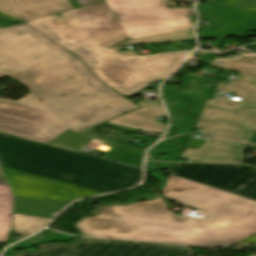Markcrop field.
Returning <instances> with one entry per match:
<instances>
[{
    "instance_id": "obj_1",
    "label": "crop field",
    "mask_w": 256,
    "mask_h": 256,
    "mask_svg": "<svg viewBox=\"0 0 256 256\" xmlns=\"http://www.w3.org/2000/svg\"><path fill=\"white\" fill-rule=\"evenodd\" d=\"M4 75L22 81L33 93L17 102L0 98V130L43 142L68 128L79 132L138 108L102 84L79 59L26 25L0 29Z\"/></svg>"
},
{
    "instance_id": "obj_2",
    "label": "crop field",
    "mask_w": 256,
    "mask_h": 256,
    "mask_svg": "<svg viewBox=\"0 0 256 256\" xmlns=\"http://www.w3.org/2000/svg\"><path fill=\"white\" fill-rule=\"evenodd\" d=\"M163 194L206 211L205 219L185 218L168 209L162 197L116 206L77 224L84 235L172 244L227 247L256 233V202L169 176Z\"/></svg>"
},
{
    "instance_id": "obj_3",
    "label": "crop field",
    "mask_w": 256,
    "mask_h": 256,
    "mask_svg": "<svg viewBox=\"0 0 256 256\" xmlns=\"http://www.w3.org/2000/svg\"><path fill=\"white\" fill-rule=\"evenodd\" d=\"M61 14L26 24L76 54L106 84L125 96L167 77L190 53L121 57L108 50L127 38L105 2Z\"/></svg>"
},
{
    "instance_id": "obj_4",
    "label": "crop field",
    "mask_w": 256,
    "mask_h": 256,
    "mask_svg": "<svg viewBox=\"0 0 256 256\" xmlns=\"http://www.w3.org/2000/svg\"><path fill=\"white\" fill-rule=\"evenodd\" d=\"M66 149L0 133L2 167L106 193L139 183L141 170L98 159L87 171L53 163Z\"/></svg>"
},
{
    "instance_id": "obj_5",
    "label": "crop field",
    "mask_w": 256,
    "mask_h": 256,
    "mask_svg": "<svg viewBox=\"0 0 256 256\" xmlns=\"http://www.w3.org/2000/svg\"><path fill=\"white\" fill-rule=\"evenodd\" d=\"M169 1L194 0H105L128 39L192 29L193 9L168 8Z\"/></svg>"
},
{
    "instance_id": "obj_6",
    "label": "crop field",
    "mask_w": 256,
    "mask_h": 256,
    "mask_svg": "<svg viewBox=\"0 0 256 256\" xmlns=\"http://www.w3.org/2000/svg\"><path fill=\"white\" fill-rule=\"evenodd\" d=\"M49 250L17 252L13 256H192L188 247L117 240L79 239L48 244Z\"/></svg>"
},
{
    "instance_id": "obj_7",
    "label": "crop field",
    "mask_w": 256,
    "mask_h": 256,
    "mask_svg": "<svg viewBox=\"0 0 256 256\" xmlns=\"http://www.w3.org/2000/svg\"><path fill=\"white\" fill-rule=\"evenodd\" d=\"M255 122L256 99L218 96L208 100L195 128L217 138L248 140Z\"/></svg>"
},
{
    "instance_id": "obj_8",
    "label": "crop field",
    "mask_w": 256,
    "mask_h": 256,
    "mask_svg": "<svg viewBox=\"0 0 256 256\" xmlns=\"http://www.w3.org/2000/svg\"><path fill=\"white\" fill-rule=\"evenodd\" d=\"M167 172L256 200V169L246 165L175 163Z\"/></svg>"
},
{
    "instance_id": "obj_9",
    "label": "crop field",
    "mask_w": 256,
    "mask_h": 256,
    "mask_svg": "<svg viewBox=\"0 0 256 256\" xmlns=\"http://www.w3.org/2000/svg\"><path fill=\"white\" fill-rule=\"evenodd\" d=\"M2 170L15 196L70 202L101 194L6 168Z\"/></svg>"
},
{
    "instance_id": "obj_10",
    "label": "crop field",
    "mask_w": 256,
    "mask_h": 256,
    "mask_svg": "<svg viewBox=\"0 0 256 256\" xmlns=\"http://www.w3.org/2000/svg\"><path fill=\"white\" fill-rule=\"evenodd\" d=\"M68 10H72L68 0H0V12L26 21Z\"/></svg>"
},
{
    "instance_id": "obj_11",
    "label": "crop field",
    "mask_w": 256,
    "mask_h": 256,
    "mask_svg": "<svg viewBox=\"0 0 256 256\" xmlns=\"http://www.w3.org/2000/svg\"><path fill=\"white\" fill-rule=\"evenodd\" d=\"M247 144L209 138L198 150L186 148L180 158L203 162L240 163Z\"/></svg>"
},
{
    "instance_id": "obj_12",
    "label": "crop field",
    "mask_w": 256,
    "mask_h": 256,
    "mask_svg": "<svg viewBox=\"0 0 256 256\" xmlns=\"http://www.w3.org/2000/svg\"><path fill=\"white\" fill-rule=\"evenodd\" d=\"M137 104L143 108L119 116L108 122L163 134L167 125L154 121L158 116L167 118L161 102L143 100Z\"/></svg>"
},
{
    "instance_id": "obj_13",
    "label": "crop field",
    "mask_w": 256,
    "mask_h": 256,
    "mask_svg": "<svg viewBox=\"0 0 256 256\" xmlns=\"http://www.w3.org/2000/svg\"><path fill=\"white\" fill-rule=\"evenodd\" d=\"M93 139L94 138L79 135L69 130L55 140L51 141L50 143L71 150L80 151L81 149L85 148ZM143 154L144 152L142 151L134 150L120 145H115L102 158L140 167Z\"/></svg>"
},
{
    "instance_id": "obj_14",
    "label": "crop field",
    "mask_w": 256,
    "mask_h": 256,
    "mask_svg": "<svg viewBox=\"0 0 256 256\" xmlns=\"http://www.w3.org/2000/svg\"><path fill=\"white\" fill-rule=\"evenodd\" d=\"M216 13L220 25L214 32L220 35L256 29V13L218 5Z\"/></svg>"
},
{
    "instance_id": "obj_15",
    "label": "crop field",
    "mask_w": 256,
    "mask_h": 256,
    "mask_svg": "<svg viewBox=\"0 0 256 256\" xmlns=\"http://www.w3.org/2000/svg\"><path fill=\"white\" fill-rule=\"evenodd\" d=\"M183 83H184V85L181 86L175 92V95L189 98V99H195L196 103H194L189 108L191 109V112H192L191 114H194L195 116H197L199 118V116L203 110V107L208 99V96L212 90V88L206 87V86H207V84H213V83L204 78L192 76L189 74L187 76H185V80ZM198 118L194 122L193 126L185 127L183 130H181L180 132H178L176 134L192 133V131L197 123Z\"/></svg>"
},
{
    "instance_id": "obj_16",
    "label": "crop field",
    "mask_w": 256,
    "mask_h": 256,
    "mask_svg": "<svg viewBox=\"0 0 256 256\" xmlns=\"http://www.w3.org/2000/svg\"><path fill=\"white\" fill-rule=\"evenodd\" d=\"M175 87L176 86H162V90L165 92L163 97L166 99V107L169 112L171 122H173L171 130L167 133L165 138L171 136L172 133L178 130V128L183 124H190L192 122L191 118H193L185 115V113L189 112L188 109H186V104H190V102L193 101L174 97L172 93Z\"/></svg>"
},
{
    "instance_id": "obj_17",
    "label": "crop field",
    "mask_w": 256,
    "mask_h": 256,
    "mask_svg": "<svg viewBox=\"0 0 256 256\" xmlns=\"http://www.w3.org/2000/svg\"><path fill=\"white\" fill-rule=\"evenodd\" d=\"M69 203L15 197L14 212L46 217L49 211H60Z\"/></svg>"
},
{
    "instance_id": "obj_18",
    "label": "crop field",
    "mask_w": 256,
    "mask_h": 256,
    "mask_svg": "<svg viewBox=\"0 0 256 256\" xmlns=\"http://www.w3.org/2000/svg\"><path fill=\"white\" fill-rule=\"evenodd\" d=\"M14 196L7 183H0V243L8 242Z\"/></svg>"
},
{
    "instance_id": "obj_19",
    "label": "crop field",
    "mask_w": 256,
    "mask_h": 256,
    "mask_svg": "<svg viewBox=\"0 0 256 256\" xmlns=\"http://www.w3.org/2000/svg\"><path fill=\"white\" fill-rule=\"evenodd\" d=\"M218 91L234 92L236 96L256 98V76L239 73L230 83H220Z\"/></svg>"
},
{
    "instance_id": "obj_20",
    "label": "crop field",
    "mask_w": 256,
    "mask_h": 256,
    "mask_svg": "<svg viewBox=\"0 0 256 256\" xmlns=\"http://www.w3.org/2000/svg\"><path fill=\"white\" fill-rule=\"evenodd\" d=\"M49 220V218L14 213L12 218V231H17L25 237L31 233L36 232V230L44 227Z\"/></svg>"
},
{
    "instance_id": "obj_21",
    "label": "crop field",
    "mask_w": 256,
    "mask_h": 256,
    "mask_svg": "<svg viewBox=\"0 0 256 256\" xmlns=\"http://www.w3.org/2000/svg\"><path fill=\"white\" fill-rule=\"evenodd\" d=\"M223 63L222 66L216 65ZM209 66L256 75V59L238 56L236 59L216 58Z\"/></svg>"
},
{
    "instance_id": "obj_22",
    "label": "crop field",
    "mask_w": 256,
    "mask_h": 256,
    "mask_svg": "<svg viewBox=\"0 0 256 256\" xmlns=\"http://www.w3.org/2000/svg\"><path fill=\"white\" fill-rule=\"evenodd\" d=\"M191 37H193L192 30L183 31V32L164 34V35L143 38V39H138V40H133V41L126 40L118 45H115V46L109 48V49L122 55V56H138L135 52H119L116 46L124 45V44H130V45L148 44V43L163 42V41H170V40H177V39H184V38H191Z\"/></svg>"
},
{
    "instance_id": "obj_23",
    "label": "crop field",
    "mask_w": 256,
    "mask_h": 256,
    "mask_svg": "<svg viewBox=\"0 0 256 256\" xmlns=\"http://www.w3.org/2000/svg\"><path fill=\"white\" fill-rule=\"evenodd\" d=\"M98 158L80 153L66 151L55 162L87 170Z\"/></svg>"
},
{
    "instance_id": "obj_24",
    "label": "crop field",
    "mask_w": 256,
    "mask_h": 256,
    "mask_svg": "<svg viewBox=\"0 0 256 256\" xmlns=\"http://www.w3.org/2000/svg\"><path fill=\"white\" fill-rule=\"evenodd\" d=\"M69 238H72V237H68V236H64V235H61L59 233H56V232H53L51 230H44L42 233H40L39 235L31 238V239H28V240H25L15 246L17 247H27V246H31V245H35V244H39V243H44V242H49L51 240H59V241H62V240H66V239H69Z\"/></svg>"
},
{
    "instance_id": "obj_25",
    "label": "crop field",
    "mask_w": 256,
    "mask_h": 256,
    "mask_svg": "<svg viewBox=\"0 0 256 256\" xmlns=\"http://www.w3.org/2000/svg\"><path fill=\"white\" fill-rule=\"evenodd\" d=\"M172 139V138H171ZM171 139H168L166 141H163L156 146H154L152 149L149 150L147 155V160H156L155 157L158 152H168L173 149H178V146H176Z\"/></svg>"
},
{
    "instance_id": "obj_26",
    "label": "crop field",
    "mask_w": 256,
    "mask_h": 256,
    "mask_svg": "<svg viewBox=\"0 0 256 256\" xmlns=\"http://www.w3.org/2000/svg\"><path fill=\"white\" fill-rule=\"evenodd\" d=\"M222 5L256 12V0H224Z\"/></svg>"
},
{
    "instance_id": "obj_27",
    "label": "crop field",
    "mask_w": 256,
    "mask_h": 256,
    "mask_svg": "<svg viewBox=\"0 0 256 256\" xmlns=\"http://www.w3.org/2000/svg\"><path fill=\"white\" fill-rule=\"evenodd\" d=\"M189 136L190 135H180V139L179 140H176L178 141L179 145H181V148L183 150L185 144L187 143L188 139H189ZM182 150L177 152V153H171V154H167L166 157L164 158H159L161 160H171V161H177L178 158L180 157L181 153H182Z\"/></svg>"
},
{
    "instance_id": "obj_28",
    "label": "crop field",
    "mask_w": 256,
    "mask_h": 256,
    "mask_svg": "<svg viewBox=\"0 0 256 256\" xmlns=\"http://www.w3.org/2000/svg\"><path fill=\"white\" fill-rule=\"evenodd\" d=\"M235 244H256V234H254L238 243H235Z\"/></svg>"
},
{
    "instance_id": "obj_29",
    "label": "crop field",
    "mask_w": 256,
    "mask_h": 256,
    "mask_svg": "<svg viewBox=\"0 0 256 256\" xmlns=\"http://www.w3.org/2000/svg\"><path fill=\"white\" fill-rule=\"evenodd\" d=\"M0 16H1V17H3L4 19H6V20H10V21L26 22V21H21V20H18V19L12 18V17L7 16V15H4V14H2V13H0Z\"/></svg>"
},
{
    "instance_id": "obj_30",
    "label": "crop field",
    "mask_w": 256,
    "mask_h": 256,
    "mask_svg": "<svg viewBox=\"0 0 256 256\" xmlns=\"http://www.w3.org/2000/svg\"><path fill=\"white\" fill-rule=\"evenodd\" d=\"M158 162H147V171L149 172L152 170L153 166L156 165Z\"/></svg>"
},
{
    "instance_id": "obj_31",
    "label": "crop field",
    "mask_w": 256,
    "mask_h": 256,
    "mask_svg": "<svg viewBox=\"0 0 256 256\" xmlns=\"http://www.w3.org/2000/svg\"><path fill=\"white\" fill-rule=\"evenodd\" d=\"M173 163H162L159 167H157L156 169H162V168H166L168 169Z\"/></svg>"
},
{
    "instance_id": "obj_32",
    "label": "crop field",
    "mask_w": 256,
    "mask_h": 256,
    "mask_svg": "<svg viewBox=\"0 0 256 256\" xmlns=\"http://www.w3.org/2000/svg\"><path fill=\"white\" fill-rule=\"evenodd\" d=\"M250 142L251 143H256V131H255V133H254V135H253V137H252Z\"/></svg>"
},
{
    "instance_id": "obj_33",
    "label": "crop field",
    "mask_w": 256,
    "mask_h": 256,
    "mask_svg": "<svg viewBox=\"0 0 256 256\" xmlns=\"http://www.w3.org/2000/svg\"><path fill=\"white\" fill-rule=\"evenodd\" d=\"M241 56L256 58V54H245V55H241Z\"/></svg>"
},
{
    "instance_id": "obj_34",
    "label": "crop field",
    "mask_w": 256,
    "mask_h": 256,
    "mask_svg": "<svg viewBox=\"0 0 256 256\" xmlns=\"http://www.w3.org/2000/svg\"><path fill=\"white\" fill-rule=\"evenodd\" d=\"M256 130V129H255Z\"/></svg>"
}]
</instances>
